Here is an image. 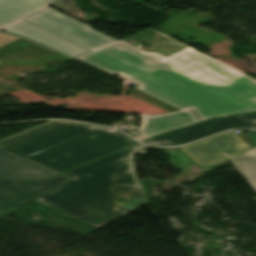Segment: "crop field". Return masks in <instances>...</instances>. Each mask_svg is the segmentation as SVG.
<instances>
[{
  "label": "crop field",
  "mask_w": 256,
  "mask_h": 256,
  "mask_svg": "<svg viewBox=\"0 0 256 256\" xmlns=\"http://www.w3.org/2000/svg\"><path fill=\"white\" fill-rule=\"evenodd\" d=\"M55 174L58 173L0 148V178L37 179Z\"/></svg>",
  "instance_id": "3316defc"
},
{
  "label": "crop field",
  "mask_w": 256,
  "mask_h": 256,
  "mask_svg": "<svg viewBox=\"0 0 256 256\" xmlns=\"http://www.w3.org/2000/svg\"><path fill=\"white\" fill-rule=\"evenodd\" d=\"M54 1L55 0H0V29L48 7Z\"/></svg>",
  "instance_id": "28ad6ade"
},
{
  "label": "crop field",
  "mask_w": 256,
  "mask_h": 256,
  "mask_svg": "<svg viewBox=\"0 0 256 256\" xmlns=\"http://www.w3.org/2000/svg\"><path fill=\"white\" fill-rule=\"evenodd\" d=\"M57 54L24 39H19L0 49L1 61L36 59Z\"/></svg>",
  "instance_id": "d1516ede"
},
{
  "label": "crop field",
  "mask_w": 256,
  "mask_h": 256,
  "mask_svg": "<svg viewBox=\"0 0 256 256\" xmlns=\"http://www.w3.org/2000/svg\"><path fill=\"white\" fill-rule=\"evenodd\" d=\"M141 115L143 119L141 127H139V133L141 136L135 137L140 141H143L157 134L199 122L198 118L195 116L192 110L167 113L163 115Z\"/></svg>",
  "instance_id": "5a996713"
},
{
  "label": "crop field",
  "mask_w": 256,
  "mask_h": 256,
  "mask_svg": "<svg viewBox=\"0 0 256 256\" xmlns=\"http://www.w3.org/2000/svg\"><path fill=\"white\" fill-rule=\"evenodd\" d=\"M1 30L7 31L12 34L25 36L72 57L90 51L23 20H20Z\"/></svg>",
  "instance_id": "d8731c3e"
},
{
  "label": "crop field",
  "mask_w": 256,
  "mask_h": 256,
  "mask_svg": "<svg viewBox=\"0 0 256 256\" xmlns=\"http://www.w3.org/2000/svg\"><path fill=\"white\" fill-rule=\"evenodd\" d=\"M238 171L247 180V182L256 190V165ZM252 199L256 200V197Z\"/></svg>",
  "instance_id": "cbeb9de0"
},
{
  "label": "crop field",
  "mask_w": 256,
  "mask_h": 256,
  "mask_svg": "<svg viewBox=\"0 0 256 256\" xmlns=\"http://www.w3.org/2000/svg\"><path fill=\"white\" fill-rule=\"evenodd\" d=\"M23 20L90 50L118 41L49 7Z\"/></svg>",
  "instance_id": "412701ff"
},
{
  "label": "crop field",
  "mask_w": 256,
  "mask_h": 256,
  "mask_svg": "<svg viewBox=\"0 0 256 256\" xmlns=\"http://www.w3.org/2000/svg\"><path fill=\"white\" fill-rule=\"evenodd\" d=\"M146 148L138 144L65 172L73 179L34 200L99 228L148 202L133 158Z\"/></svg>",
  "instance_id": "ac0d7876"
},
{
  "label": "crop field",
  "mask_w": 256,
  "mask_h": 256,
  "mask_svg": "<svg viewBox=\"0 0 256 256\" xmlns=\"http://www.w3.org/2000/svg\"><path fill=\"white\" fill-rule=\"evenodd\" d=\"M252 148L251 144L230 131L180 149L203 171H209Z\"/></svg>",
  "instance_id": "f4fd0767"
},
{
  "label": "crop field",
  "mask_w": 256,
  "mask_h": 256,
  "mask_svg": "<svg viewBox=\"0 0 256 256\" xmlns=\"http://www.w3.org/2000/svg\"><path fill=\"white\" fill-rule=\"evenodd\" d=\"M236 169L248 167L256 162V148L230 160Z\"/></svg>",
  "instance_id": "22f410ed"
},
{
  "label": "crop field",
  "mask_w": 256,
  "mask_h": 256,
  "mask_svg": "<svg viewBox=\"0 0 256 256\" xmlns=\"http://www.w3.org/2000/svg\"><path fill=\"white\" fill-rule=\"evenodd\" d=\"M135 143L113 129L51 121L0 140V147L62 173Z\"/></svg>",
  "instance_id": "34b2d1b8"
},
{
  "label": "crop field",
  "mask_w": 256,
  "mask_h": 256,
  "mask_svg": "<svg viewBox=\"0 0 256 256\" xmlns=\"http://www.w3.org/2000/svg\"><path fill=\"white\" fill-rule=\"evenodd\" d=\"M69 179L71 177L63 174L39 181L1 179L0 217L67 182Z\"/></svg>",
  "instance_id": "e52e79f7"
},
{
  "label": "crop field",
  "mask_w": 256,
  "mask_h": 256,
  "mask_svg": "<svg viewBox=\"0 0 256 256\" xmlns=\"http://www.w3.org/2000/svg\"><path fill=\"white\" fill-rule=\"evenodd\" d=\"M142 41L153 46L143 51ZM77 58L138 83L130 95L167 112L192 108L203 121L256 111L255 79L155 29Z\"/></svg>",
  "instance_id": "8a807250"
},
{
  "label": "crop field",
  "mask_w": 256,
  "mask_h": 256,
  "mask_svg": "<svg viewBox=\"0 0 256 256\" xmlns=\"http://www.w3.org/2000/svg\"><path fill=\"white\" fill-rule=\"evenodd\" d=\"M241 136L256 147V131H250Z\"/></svg>",
  "instance_id": "d9b57169"
},
{
  "label": "crop field",
  "mask_w": 256,
  "mask_h": 256,
  "mask_svg": "<svg viewBox=\"0 0 256 256\" xmlns=\"http://www.w3.org/2000/svg\"><path fill=\"white\" fill-rule=\"evenodd\" d=\"M231 128H256V113L220 118L200 123L193 127L159 135L145 143L162 146L181 145Z\"/></svg>",
  "instance_id": "dd49c442"
},
{
  "label": "crop field",
  "mask_w": 256,
  "mask_h": 256,
  "mask_svg": "<svg viewBox=\"0 0 256 256\" xmlns=\"http://www.w3.org/2000/svg\"><path fill=\"white\" fill-rule=\"evenodd\" d=\"M16 39H19V38L0 33V47L6 45ZM0 64H1V62H0Z\"/></svg>",
  "instance_id": "5142ce71"
}]
</instances>
